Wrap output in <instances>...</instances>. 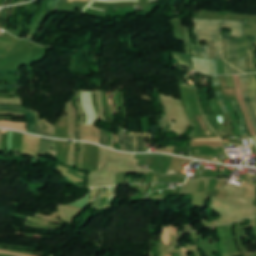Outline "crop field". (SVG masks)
<instances>
[{
	"instance_id": "db79e9e6",
	"label": "crop field",
	"mask_w": 256,
	"mask_h": 256,
	"mask_svg": "<svg viewBox=\"0 0 256 256\" xmlns=\"http://www.w3.org/2000/svg\"><path fill=\"white\" fill-rule=\"evenodd\" d=\"M167 256H171V255H167Z\"/></svg>"
},
{
	"instance_id": "03da06ac",
	"label": "crop field",
	"mask_w": 256,
	"mask_h": 256,
	"mask_svg": "<svg viewBox=\"0 0 256 256\" xmlns=\"http://www.w3.org/2000/svg\"><path fill=\"white\" fill-rule=\"evenodd\" d=\"M76 140H79V126H76Z\"/></svg>"
},
{
	"instance_id": "d32e631a",
	"label": "crop field",
	"mask_w": 256,
	"mask_h": 256,
	"mask_svg": "<svg viewBox=\"0 0 256 256\" xmlns=\"http://www.w3.org/2000/svg\"><path fill=\"white\" fill-rule=\"evenodd\" d=\"M196 50H197V55L202 57V51H201V46L199 43H196Z\"/></svg>"
},
{
	"instance_id": "733c2abd",
	"label": "crop field",
	"mask_w": 256,
	"mask_h": 256,
	"mask_svg": "<svg viewBox=\"0 0 256 256\" xmlns=\"http://www.w3.org/2000/svg\"><path fill=\"white\" fill-rule=\"evenodd\" d=\"M27 117H28V122H29V129H28V131H30V132H35V117H34V112H32V111H27Z\"/></svg>"
},
{
	"instance_id": "d8731c3e",
	"label": "crop field",
	"mask_w": 256,
	"mask_h": 256,
	"mask_svg": "<svg viewBox=\"0 0 256 256\" xmlns=\"http://www.w3.org/2000/svg\"><path fill=\"white\" fill-rule=\"evenodd\" d=\"M41 133L45 136H55V126L49 124L46 119H42L40 123Z\"/></svg>"
},
{
	"instance_id": "34b2d1b8",
	"label": "crop field",
	"mask_w": 256,
	"mask_h": 256,
	"mask_svg": "<svg viewBox=\"0 0 256 256\" xmlns=\"http://www.w3.org/2000/svg\"><path fill=\"white\" fill-rule=\"evenodd\" d=\"M241 82H242V87H243V92H244V100L246 102V105L248 107L251 119L253 121L255 130H256V117L254 115L253 107L250 103L249 97H248V85H247V80L245 75H240Z\"/></svg>"
},
{
	"instance_id": "00972430",
	"label": "crop field",
	"mask_w": 256,
	"mask_h": 256,
	"mask_svg": "<svg viewBox=\"0 0 256 256\" xmlns=\"http://www.w3.org/2000/svg\"><path fill=\"white\" fill-rule=\"evenodd\" d=\"M170 227L167 229L164 227L163 243L169 245ZM170 246V245H169Z\"/></svg>"
},
{
	"instance_id": "5866460e",
	"label": "crop field",
	"mask_w": 256,
	"mask_h": 256,
	"mask_svg": "<svg viewBox=\"0 0 256 256\" xmlns=\"http://www.w3.org/2000/svg\"><path fill=\"white\" fill-rule=\"evenodd\" d=\"M158 189H166V186L165 185H156L153 187L151 193L155 190H158Z\"/></svg>"
},
{
	"instance_id": "dbb93151",
	"label": "crop field",
	"mask_w": 256,
	"mask_h": 256,
	"mask_svg": "<svg viewBox=\"0 0 256 256\" xmlns=\"http://www.w3.org/2000/svg\"><path fill=\"white\" fill-rule=\"evenodd\" d=\"M184 256H187L186 249L183 248Z\"/></svg>"
},
{
	"instance_id": "447ae74e",
	"label": "crop field",
	"mask_w": 256,
	"mask_h": 256,
	"mask_svg": "<svg viewBox=\"0 0 256 256\" xmlns=\"http://www.w3.org/2000/svg\"><path fill=\"white\" fill-rule=\"evenodd\" d=\"M68 0H65L64 3H66Z\"/></svg>"
},
{
	"instance_id": "5142ce71",
	"label": "crop field",
	"mask_w": 256,
	"mask_h": 256,
	"mask_svg": "<svg viewBox=\"0 0 256 256\" xmlns=\"http://www.w3.org/2000/svg\"><path fill=\"white\" fill-rule=\"evenodd\" d=\"M248 20H246L247 22ZM252 22L251 25L245 22V36L246 35H256V20H250ZM256 42V38H255Z\"/></svg>"
},
{
	"instance_id": "22f410ed",
	"label": "crop field",
	"mask_w": 256,
	"mask_h": 256,
	"mask_svg": "<svg viewBox=\"0 0 256 256\" xmlns=\"http://www.w3.org/2000/svg\"><path fill=\"white\" fill-rule=\"evenodd\" d=\"M25 125L26 124L0 121V127L18 129V130H22V131H26V129L24 127Z\"/></svg>"
},
{
	"instance_id": "028f5c9d",
	"label": "crop field",
	"mask_w": 256,
	"mask_h": 256,
	"mask_svg": "<svg viewBox=\"0 0 256 256\" xmlns=\"http://www.w3.org/2000/svg\"><path fill=\"white\" fill-rule=\"evenodd\" d=\"M36 117H37V124H38V127H37V134L41 135V133H40V128H39L40 119H39L38 113H36Z\"/></svg>"
},
{
	"instance_id": "d23c7cc5",
	"label": "crop field",
	"mask_w": 256,
	"mask_h": 256,
	"mask_svg": "<svg viewBox=\"0 0 256 256\" xmlns=\"http://www.w3.org/2000/svg\"><path fill=\"white\" fill-rule=\"evenodd\" d=\"M146 137L153 143L152 135L146 133Z\"/></svg>"
},
{
	"instance_id": "1f2cbd36",
	"label": "crop field",
	"mask_w": 256,
	"mask_h": 256,
	"mask_svg": "<svg viewBox=\"0 0 256 256\" xmlns=\"http://www.w3.org/2000/svg\"><path fill=\"white\" fill-rule=\"evenodd\" d=\"M108 103H109V105H111L110 104V93L108 92Z\"/></svg>"
},
{
	"instance_id": "d1516ede",
	"label": "crop field",
	"mask_w": 256,
	"mask_h": 256,
	"mask_svg": "<svg viewBox=\"0 0 256 256\" xmlns=\"http://www.w3.org/2000/svg\"><path fill=\"white\" fill-rule=\"evenodd\" d=\"M232 103H233L234 108H235V110H236V112H237V114L239 116V119H240V123H241L240 131H241V134H242L243 137L247 136L248 134H247L246 126H245V123H244V120H243V114H242V112L240 110V107H239L237 101H232Z\"/></svg>"
},
{
	"instance_id": "d3111659",
	"label": "crop field",
	"mask_w": 256,
	"mask_h": 256,
	"mask_svg": "<svg viewBox=\"0 0 256 256\" xmlns=\"http://www.w3.org/2000/svg\"><path fill=\"white\" fill-rule=\"evenodd\" d=\"M1 110H21V111H25L24 108L21 107H11V106H0Z\"/></svg>"
},
{
	"instance_id": "28ad6ade",
	"label": "crop field",
	"mask_w": 256,
	"mask_h": 256,
	"mask_svg": "<svg viewBox=\"0 0 256 256\" xmlns=\"http://www.w3.org/2000/svg\"><path fill=\"white\" fill-rule=\"evenodd\" d=\"M129 135H134L135 137V151L144 152V134L130 133Z\"/></svg>"
},
{
	"instance_id": "bd1437ed",
	"label": "crop field",
	"mask_w": 256,
	"mask_h": 256,
	"mask_svg": "<svg viewBox=\"0 0 256 256\" xmlns=\"http://www.w3.org/2000/svg\"><path fill=\"white\" fill-rule=\"evenodd\" d=\"M222 45H223V57H224V59H227V55H226V44H225V36H222Z\"/></svg>"
},
{
	"instance_id": "1d83c4d3",
	"label": "crop field",
	"mask_w": 256,
	"mask_h": 256,
	"mask_svg": "<svg viewBox=\"0 0 256 256\" xmlns=\"http://www.w3.org/2000/svg\"><path fill=\"white\" fill-rule=\"evenodd\" d=\"M168 125V121H167V119H165V118H162L161 119V126H160V128H163L164 130H166V126Z\"/></svg>"
},
{
	"instance_id": "f4fd0767",
	"label": "crop field",
	"mask_w": 256,
	"mask_h": 256,
	"mask_svg": "<svg viewBox=\"0 0 256 256\" xmlns=\"http://www.w3.org/2000/svg\"><path fill=\"white\" fill-rule=\"evenodd\" d=\"M134 137L128 136L127 131L121 130L120 132V149L133 152Z\"/></svg>"
},
{
	"instance_id": "0bd39190",
	"label": "crop field",
	"mask_w": 256,
	"mask_h": 256,
	"mask_svg": "<svg viewBox=\"0 0 256 256\" xmlns=\"http://www.w3.org/2000/svg\"><path fill=\"white\" fill-rule=\"evenodd\" d=\"M202 51H203V57H204V58H208L206 46H205V47H202Z\"/></svg>"
},
{
	"instance_id": "8a807250",
	"label": "crop field",
	"mask_w": 256,
	"mask_h": 256,
	"mask_svg": "<svg viewBox=\"0 0 256 256\" xmlns=\"http://www.w3.org/2000/svg\"><path fill=\"white\" fill-rule=\"evenodd\" d=\"M197 32L221 34V28H232V30H244L245 21H224V20H195ZM232 36H244V31H232Z\"/></svg>"
},
{
	"instance_id": "ae1a2a85",
	"label": "crop field",
	"mask_w": 256,
	"mask_h": 256,
	"mask_svg": "<svg viewBox=\"0 0 256 256\" xmlns=\"http://www.w3.org/2000/svg\"><path fill=\"white\" fill-rule=\"evenodd\" d=\"M0 89H22V85H0Z\"/></svg>"
},
{
	"instance_id": "b80d0937",
	"label": "crop field",
	"mask_w": 256,
	"mask_h": 256,
	"mask_svg": "<svg viewBox=\"0 0 256 256\" xmlns=\"http://www.w3.org/2000/svg\"><path fill=\"white\" fill-rule=\"evenodd\" d=\"M177 231H178V227L173 228V226L171 225V233L177 236Z\"/></svg>"
},
{
	"instance_id": "73cf0c24",
	"label": "crop field",
	"mask_w": 256,
	"mask_h": 256,
	"mask_svg": "<svg viewBox=\"0 0 256 256\" xmlns=\"http://www.w3.org/2000/svg\"><path fill=\"white\" fill-rule=\"evenodd\" d=\"M63 0H60V2L58 3V5L56 6V9L54 10V12L59 8L60 4L62 3Z\"/></svg>"
},
{
	"instance_id": "412701ff",
	"label": "crop field",
	"mask_w": 256,
	"mask_h": 256,
	"mask_svg": "<svg viewBox=\"0 0 256 256\" xmlns=\"http://www.w3.org/2000/svg\"><path fill=\"white\" fill-rule=\"evenodd\" d=\"M53 146L54 150L50 148ZM46 153H52L54 158H56V143L53 139L41 138L40 140V154L45 155Z\"/></svg>"
},
{
	"instance_id": "0765c3eb",
	"label": "crop field",
	"mask_w": 256,
	"mask_h": 256,
	"mask_svg": "<svg viewBox=\"0 0 256 256\" xmlns=\"http://www.w3.org/2000/svg\"><path fill=\"white\" fill-rule=\"evenodd\" d=\"M239 74H243V73L239 72Z\"/></svg>"
},
{
	"instance_id": "25e5ab78",
	"label": "crop field",
	"mask_w": 256,
	"mask_h": 256,
	"mask_svg": "<svg viewBox=\"0 0 256 256\" xmlns=\"http://www.w3.org/2000/svg\"><path fill=\"white\" fill-rule=\"evenodd\" d=\"M0 252H5V251L0 250ZM6 253H10V252H6ZM11 254H16V253H11ZM16 255L29 256V255H23V254H16Z\"/></svg>"
},
{
	"instance_id": "dd49c442",
	"label": "crop field",
	"mask_w": 256,
	"mask_h": 256,
	"mask_svg": "<svg viewBox=\"0 0 256 256\" xmlns=\"http://www.w3.org/2000/svg\"><path fill=\"white\" fill-rule=\"evenodd\" d=\"M197 34V33H196ZM198 39L197 41H207V40H215L216 47H217V59H222L221 57V41L220 36L215 34H197Z\"/></svg>"
},
{
	"instance_id": "e1f06a70",
	"label": "crop field",
	"mask_w": 256,
	"mask_h": 256,
	"mask_svg": "<svg viewBox=\"0 0 256 256\" xmlns=\"http://www.w3.org/2000/svg\"><path fill=\"white\" fill-rule=\"evenodd\" d=\"M214 85L220 84L218 76H212Z\"/></svg>"
},
{
	"instance_id": "4177f3b9",
	"label": "crop field",
	"mask_w": 256,
	"mask_h": 256,
	"mask_svg": "<svg viewBox=\"0 0 256 256\" xmlns=\"http://www.w3.org/2000/svg\"><path fill=\"white\" fill-rule=\"evenodd\" d=\"M254 38L255 36H251V46H252V53H253V65H254V72H256V57H255V50H254Z\"/></svg>"
},
{
	"instance_id": "dafd665d",
	"label": "crop field",
	"mask_w": 256,
	"mask_h": 256,
	"mask_svg": "<svg viewBox=\"0 0 256 256\" xmlns=\"http://www.w3.org/2000/svg\"><path fill=\"white\" fill-rule=\"evenodd\" d=\"M113 190H114V187H111V188L108 189V193L111 194V195H110V197L108 198V200H107V202H106L104 208L110 207V204H111L112 200H113L115 197H117V196L113 195ZM111 205H112V204H111Z\"/></svg>"
},
{
	"instance_id": "750c4746",
	"label": "crop field",
	"mask_w": 256,
	"mask_h": 256,
	"mask_svg": "<svg viewBox=\"0 0 256 256\" xmlns=\"http://www.w3.org/2000/svg\"><path fill=\"white\" fill-rule=\"evenodd\" d=\"M225 71H226V74H231L230 60H225Z\"/></svg>"
},
{
	"instance_id": "425ffa30",
	"label": "crop field",
	"mask_w": 256,
	"mask_h": 256,
	"mask_svg": "<svg viewBox=\"0 0 256 256\" xmlns=\"http://www.w3.org/2000/svg\"><path fill=\"white\" fill-rule=\"evenodd\" d=\"M110 142H111V135H110V134H108V146H110V147H111Z\"/></svg>"
},
{
	"instance_id": "9d1cf04e",
	"label": "crop field",
	"mask_w": 256,
	"mask_h": 256,
	"mask_svg": "<svg viewBox=\"0 0 256 256\" xmlns=\"http://www.w3.org/2000/svg\"><path fill=\"white\" fill-rule=\"evenodd\" d=\"M174 256H179V254H178V253H175Z\"/></svg>"
},
{
	"instance_id": "1d79db26",
	"label": "crop field",
	"mask_w": 256,
	"mask_h": 256,
	"mask_svg": "<svg viewBox=\"0 0 256 256\" xmlns=\"http://www.w3.org/2000/svg\"><path fill=\"white\" fill-rule=\"evenodd\" d=\"M70 2H72L73 0H69ZM77 1H87V0H77Z\"/></svg>"
},
{
	"instance_id": "d9b57169",
	"label": "crop field",
	"mask_w": 256,
	"mask_h": 256,
	"mask_svg": "<svg viewBox=\"0 0 256 256\" xmlns=\"http://www.w3.org/2000/svg\"><path fill=\"white\" fill-rule=\"evenodd\" d=\"M226 43H227L228 59H234V55H233V37H228V35H226Z\"/></svg>"
},
{
	"instance_id": "5a996713",
	"label": "crop field",
	"mask_w": 256,
	"mask_h": 256,
	"mask_svg": "<svg viewBox=\"0 0 256 256\" xmlns=\"http://www.w3.org/2000/svg\"><path fill=\"white\" fill-rule=\"evenodd\" d=\"M59 0H56L54 2V0L51 1L49 7L51 6V4L54 2L53 6L51 7V9L44 15L43 19L39 22V20L41 19V17L43 16V14L46 12V10L49 8H46V10L38 17L37 21L35 22V24L32 26V28L30 29L29 32L31 33H37L38 29L40 28L41 24L43 23V21L45 20V18L49 15V13L53 10V8L56 6V4L58 3ZM39 22V24L37 25V23ZM37 25V27L35 28V26Z\"/></svg>"
},
{
	"instance_id": "b54c1fbb",
	"label": "crop field",
	"mask_w": 256,
	"mask_h": 256,
	"mask_svg": "<svg viewBox=\"0 0 256 256\" xmlns=\"http://www.w3.org/2000/svg\"><path fill=\"white\" fill-rule=\"evenodd\" d=\"M156 183H171V182H168V181L157 178Z\"/></svg>"
},
{
	"instance_id": "eef30255",
	"label": "crop field",
	"mask_w": 256,
	"mask_h": 256,
	"mask_svg": "<svg viewBox=\"0 0 256 256\" xmlns=\"http://www.w3.org/2000/svg\"><path fill=\"white\" fill-rule=\"evenodd\" d=\"M211 71H212V75H218L217 60H211Z\"/></svg>"
},
{
	"instance_id": "92a150f3",
	"label": "crop field",
	"mask_w": 256,
	"mask_h": 256,
	"mask_svg": "<svg viewBox=\"0 0 256 256\" xmlns=\"http://www.w3.org/2000/svg\"><path fill=\"white\" fill-rule=\"evenodd\" d=\"M236 40H237V38L235 37L234 47H235V56L237 58V55H236ZM238 63H239V70L245 73L244 58L238 59Z\"/></svg>"
},
{
	"instance_id": "89e229c0",
	"label": "crop field",
	"mask_w": 256,
	"mask_h": 256,
	"mask_svg": "<svg viewBox=\"0 0 256 256\" xmlns=\"http://www.w3.org/2000/svg\"><path fill=\"white\" fill-rule=\"evenodd\" d=\"M233 70V74H238V70H236L235 68L232 67Z\"/></svg>"
},
{
	"instance_id": "c21b1889",
	"label": "crop field",
	"mask_w": 256,
	"mask_h": 256,
	"mask_svg": "<svg viewBox=\"0 0 256 256\" xmlns=\"http://www.w3.org/2000/svg\"><path fill=\"white\" fill-rule=\"evenodd\" d=\"M191 51H192V55L196 56V51H195V47L193 45V43L191 42Z\"/></svg>"
},
{
	"instance_id": "214f88e0",
	"label": "crop field",
	"mask_w": 256,
	"mask_h": 256,
	"mask_svg": "<svg viewBox=\"0 0 256 256\" xmlns=\"http://www.w3.org/2000/svg\"><path fill=\"white\" fill-rule=\"evenodd\" d=\"M108 196H109V194H107V190H106L105 193L100 198V201H99L98 206L96 208L97 210H102Z\"/></svg>"
},
{
	"instance_id": "cbeb9de0",
	"label": "crop field",
	"mask_w": 256,
	"mask_h": 256,
	"mask_svg": "<svg viewBox=\"0 0 256 256\" xmlns=\"http://www.w3.org/2000/svg\"><path fill=\"white\" fill-rule=\"evenodd\" d=\"M175 58L179 59L180 64L182 65H187L190 66L192 68V60L190 56L181 54V53H174Z\"/></svg>"
},
{
	"instance_id": "5d738f31",
	"label": "crop field",
	"mask_w": 256,
	"mask_h": 256,
	"mask_svg": "<svg viewBox=\"0 0 256 256\" xmlns=\"http://www.w3.org/2000/svg\"><path fill=\"white\" fill-rule=\"evenodd\" d=\"M231 62H232V65H234L236 68H238L237 59L231 60Z\"/></svg>"
},
{
	"instance_id": "730fd06b",
	"label": "crop field",
	"mask_w": 256,
	"mask_h": 256,
	"mask_svg": "<svg viewBox=\"0 0 256 256\" xmlns=\"http://www.w3.org/2000/svg\"><path fill=\"white\" fill-rule=\"evenodd\" d=\"M100 144L107 146V132L101 130Z\"/></svg>"
},
{
	"instance_id": "bc2a9ffb",
	"label": "crop field",
	"mask_w": 256,
	"mask_h": 256,
	"mask_svg": "<svg viewBox=\"0 0 256 256\" xmlns=\"http://www.w3.org/2000/svg\"><path fill=\"white\" fill-rule=\"evenodd\" d=\"M207 44H208V55H209V58L216 59V48H215L214 41L207 42Z\"/></svg>"
},
{
	"instance_id": "0fb4a251",
	"label": "crop field",
	"mask_w": 256,
	"mask_h": 256,
	"mask_svg": "<svg viewBox=\"0 0 256 256\" xmlns=\"http://www.w3.org/2000/svg\"><path fill=\"white\" fill-rule=\"evenodd\" d=\"M253 76H254V80H255V85H256V74H254Z\"/></svg>"
},
{
	"instance_id": "a9b5d70f",
	"label": "crop field",
	"mask_w": 256,
	"mask_h": 256,
	"mask_svg": "<svg viewBox=\"0 0 256 256\" xmlns=\"http://www.w3.org/2000/svg\"><path fill=\"white\" fill-rule=\"evenodd\" d=\"M185 35H186V40H185V44H186V51H187V54L191 55V52H190V39H189V30L188 29H185Z\"/></svg>"
},
{
	"instance_id": "3316defc",
	"label": "crop field",
	"mask_w": 256,
	"mask_h": 256,
	"mask_svg": "<svg viewBox=\"0 0 256 256\" xmlns=\"http://www.w3.org/2000/svg\"><path fill=\"white\" fill-rule=\"evenodd\" d=\"M246 76H247L248 84L250 87V99L256 111V90L254 86L253 77H252V74H249Z\"/></svg>"
},
{
	"instance_id": "e52e79f7",
	"label": "crop field",
	"mask_w": 256,
	"mask_h": 256,
	"mask_svg": "<svg viewBox=\"0 0 256 256\" xmlns=\"http://www.w3.org/2000/svg\"><path fill=\"white\" fill-rule=\"evenodd\" d=\"M193 64L196 69L200 72L211 75L210 72V60L209 59H199L192 57Z\"/></svg>"
},
{
	"instance_id": "ac0d7876",
	"label": "crop field",
	"mask_w": 256,
	"mask_h": 256,
	"mask_svg": "<svg viewBox=\"0 0 256 256\" xmlns=\"http://www.w3.org/2000/svg\"><path fill=\"white\" fill-rule=\"evenodd\" d=\"M237 55L238 58L245 57L246 60V73L253 72L252 69V55L250 52V45L248 36L238 38L237 40Z\"/></svg>"
},
{
	"instance_id": "120bbe31",
	"label": "crop field",
	"mask_w": 256,
	"mask_h": 256,
	"mask_svg": "<svg viewBox=\"0 0 256 256\" xmlns=\"http://www.w3.org/2000/svg\"><path fill=\"white\" fill-rule=\"evenodd\" d=\"M196 141H221L219 138H209V139H195Z\"/></svg>"
},
{
	"instance_id": "4a817a6b",
	"label": "crop field",
	"mask_w": 256,
	"mask_h": 256,
	"mask_svg": "<svg viewBox=\"0 0 256 256\" xmlns=\"http://www.w3.org/2000/svg\"><path fill=\"white\" fill-rule=\"evenodd\" d=\"M215 95H216V100L219 104V108L221 110V112L224 114L226 112H228L227 108H226V105L221 97V92H215Z\"/></svg>"
},
{
	"instance_id": "c035e120",
	"label": "crop field",
	"mask_w": 256,
	"mask_h": 256,
	"mask_svg": "<svg viewBox=\"0 0 256 256\" xmlns=\"http://www.w3.org/2000/svg\"><path fill=\"white\" fill-rule=\"evenodd\" d=\"M6 72H19V71H0V73H6ZM20 74V72H19ZM19 74H0V76L2 75H19Z\"/></svg>"
}]
</instances>
